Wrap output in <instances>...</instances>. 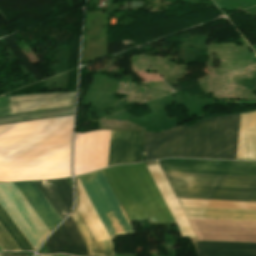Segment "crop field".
<instances>
[{
    "label": "crop field",
    "instance_id": "crop-field-11",
    "mask_svg": "<svg viewBox=\"0 0 256 256\" xmlns=\"http://www.w3.org/2000/svg\"><path fill=\"white\" fill-rule=\"evenodd\" d=\"M45 244L51 253L60 251L87 256L85 244L70 217L50 236Z\"/></svg>",
    "mask_w": 256,
    "mask_h": 256
},
{
    "label": "crop field",
    "instance_id": "crop-field-16",
    "mask_svg": "<svg viewBox=\"0 0 256 256\" xmlns=\"http://www.w3.org/2000/svg\"><path fill=\"white\" fill-rule=\"evenodd\" d=\"M253 112L256 111L242 113L241 115ZM236 157L256 158V113L241 116Z\"/></svg>",
    "mask_w": 256,
    "mask_h": 256
},
{
    "label": "crop field",
    "instance_id": "crop-field-21",
    "mask_svg": "<svg viewBox=\"0 0 256 256\" xmlns=\"http://www.w3.org/2000/svg\"><path fill=\"white\" fill-rule=\"evenodd\" d=\"M0 247L3 251H20L10 236L6 233L3 227L0 225Z\"/></svg>",
    "mask_w": 256,
    "mask_h": 256
},
{
    "label": "crop field",
    "instance_id": "crop-field-13",
    "mask_svg": "<svg viewBox=\"0 0 256 256\" xmlns=\"http://www.w3.org/2000/svg\"><path fill=\"white\" fill-rule=\"evenodd\" d=\"M61 220L72 207V188L65 179L34 182Z\"/></svg>",
    "mask_w": 256,
    "mask_h": 256
},
{
    "label": "crop field",
    "instance_id": "crop-field-9",
    "mask_svg": "<svg viewBox=\"0 0 256 256\" xmlns=\"http://www.w3.org/2000/svg\"><path fill=\"white\" fill-rule=\"evenodd\" d=\"M75 92L9 97L11 115L74 106Z\"/></svg>",
    "mask_w": 256,
    "mask_h": 256
},
{
    "label": "crop field",
    "instance_id": "crop-field-2",
    "mask_svg": "<svg viewBox=\"0 0 256 256\" xmlns=\"http://www.w3.org/2000/svg\"><path fill=\"white\" fill-rule=\"evenodd\" d=\"M238 115L202 119L197 124L175 127L159 134L145 132L146 161L168 158L235 159Z\"/></svg>",
    "mask_w": 256,
    "mask_h": 256
},
{
    "label": "crop field",
    "instance_id": "crop-field-12",
    "mask_svg": "<svg viewBox=\"0 0 256 256\" xmlns=\"http://www.w3.org/2000/svg\"><path fill=\"white\" fill-rule=\"evenodd\" d=\"M148 164L149 165H155ZM154 182L156 183L165 203L167 204L181 235H194L184 213L182 212L171 188L169 187L159 165L147 167ZM181 237H196V236H181Z\"/></svg>",
    "mask_w": 256,
    "mask_h": 256
},
{
    "label": "crop field",
    "instance_id": "crop-field-1",
    "mask_svg": "<svg viewBox=\"0 0 256 256\" xmlns=\"http://www.w3.org/2000/svg\"><path fill=\"white\" fill-rule=\"evenodd\" d=\"M73 116L0 126V182L70 176Z\"/></svg>",
    "mask_w": 256,
    "mask_h": 256
},
{
    "label": "crop field",
    "instance_id": "crop-field-6",
    "mask_svg": "<svg viewBox=\"0 0 256 256\" xmlns=\"http://www.w3.org/2000/svg\"><path fill=\"white\" fill-rule=\"evenodd\" d=\"M78 177L74 178L75 182V190H76V203L74 210L72 212V217L80 230L88 248V254L89 256H114L112 243L104 228L102 225L95 209L93 208L87 194L85 193L79 179L78 181V188H79V203H78V188H77V179ZM78 203V212L82 216L93 240L95 243L97 242H103V241H109V242H103V243H97L94 244L79 213L76 210Z\"/></svg>",
    "mask_w": 256,
    "mask_h": 256
},
{
    "label": "crop field",
    "instance_id": "crop-field-8",
    "mask_svg": "<svg viewBox=\"0 0 256 256\" xmlns=\"http://www.w3.org/2000/svg\"><path fill=\"white\" fill-rule=\"evenodd\" d=\"M158 162L163 172L256 176V162L183 159H166Z\"/></svg>",
    "mask_w": 256,
    "mask_h": 256
},
{
    "label": "crop field",
    "instance_id": "crop-field-18",
    "mask_svg": "<svg viewBox=\"0 0 256 256\" xmlns=\"http://www.w3.org/2000/svg\"><path fill=\"white\" fill-rule=\"evenodd\" d=\"M181 206L192 207H213V208H234V209H256V202H238V201H214V200H189L178 199Z\"/></svg>",
    "mask_w": 256,
    "mask_h": 256
},
{
    "label": "crop field",
    "instance_id": "crop-field-22",
    "mask_svg": "<svg viewBox=\"0 0 256 256\" xmlns=\"http://www.w3.org/2000/svg\"><path fill=\"white\" fill-rule=\"evenodd\" d=\"M0 256H26V254H17V255H10L7 253L0 254Z\"/></svg>",
    "mask_w": 256,
    "mask_h": 256
},
{
    "label": "crop field",
    "instance_id": "crop-field-15",
    "mask_svg": "<svg viewBox=\"0 0 256 256\" xmlns=\"http://www.w3.org/2000/svg\"><path fill=\"white\" fill-rule=\"evenodd\" d=\"M197 256H256L254 250L225 251L231 249H256V243L191 241Z\"/></svg>",
    "mask_w": 256,
    "mask_h": 256
},
{
    "label": "crop field",
    "instance_id": "crop-field-7",
    "mask_svg": "<svg viewBox=\"0 0 256 256\" xmlns=\"http://www.w3.org/2000/svg\"><path fill=\"white\" fill-rule=\"evenodd\" d=\"M110 131L76 133L74 176L106 167Z\"/></svg>",
    "mask_w": 256,
    "mask_h": 256
},
{
    "label": "crop field",
    "instance_id": "crop-field-24",
    "mask_svg": "<svg viewBox=\"0 0 256 256\" xmlns=\"http://www.w3.org/2000/svg\"><path fill=\"white\" fill-rule=\"evenodd\" d=\"M2 250H1V248H0V252H1Z\"/></svg>",
    "mask_w": 256,
    "mask_h": 256
},
{
    "label": "crop field",
    "instance_id": "crop-field-5",
    "mask_svg": "<svg viewBox=\"0 0 256 256\" xmlns=\"http://www.w3.org/2000/svg\"><path fill=\"white\" fill-rule=\"evenodd\" d=\"M79 179L111 240L118 235L134 232L103 171L86 174Z\"/></svg>",
    "mask_w": 256,
    "mask_h": 256
},
{
    "label": "crop field",
    "instance_id": "crop-field-20",
    "mask_svg": "<svg viewBox=\"0 0 256 256\" xmlns=\"http://www.w3.org/2000/svg\"><path fill=\"white\" fill-rule=\"evenodd\" d=\"M0 223L7 231V233L11 236L17 246L20 248L21 251H33L5 212L0 207Z\"/></svg>",
    "mask_w": 256,
    "mask_h": 256
},
{
    "label": "crop field",
    "instance_id": "crop-field-25",
    "mask_svg": "<svg viewBox=\"0 0 256 256\" xmlns=\"http://www.w3.org/2000/svg\"><path fill=\"white\" fill-rule=\"evenodd\" d=\"M63 256H68V255H63Z\"/></svg>",
    "mask_w": 256,
    "mask_h": 256
},
{
    "label": "crop field",
    "instance_id": "crop-field-3",
    "mask_svg": "<svg viewBox=\"0 0 256 256\" xmlns=\"http://www.w3.org/2000/svg\"><path fill=\"white\" fill-rule=\"evenodd\" d=\"M130 222H174L145 164L105 170Z\"/></svg>",
    "mask_w": 256,
    "mask_h": 256
},
{
    "label": "crop field",
    "instance_id": "crop-field-4",
    "mask_svg": "<svg viewBox=\"0 0 256 256\" xmlns=\"http://www.w3.org/2000/svg\"><path fill=\"white\" fill-rule=\"evenodd\" d=\"M177 198L256 201V177L164 173Z\"/></svg>",
    "mask_w": 256,
    "mask_h": 256
},
{
    "label": "crop field",
    "instance_id": "crop-field-17",
    "mask_svg": "<svg viewBox=\"0 0 256 256\" xmlns=\"http://www.w3.org/2000/svg\"><path fill=\"white\" fill-rule=\"evenodd\" d=\"M183 210L187 218L256 221V210L200 209V208H183Z\"/></svg>",
    "mask_w": 256,
    "mask_h": 256
},
{
    "label": "crop field",
    "instance_id": "crop-field-19",
    "mask_svg": "<svg viewBox=\"0 0 256 256\" xmlns=\"http://www.w3.org/2000/svg\"><path fill=\"white\" fill-rule=\"evenodd\" d=\"M73 111H74V108H66V109L50 110V111L24 114V115L0 117V125L30 121V120H36V119H43V118L69 116V115H73Z\"/></svg>",
    "mask_w": 256,
    "mask_h": 256
},
{
    "label": "crop field",
    "instance_id": "crop-field-14",
    "mask_svg": "<svg viewBox=\"0 0 256 256\" xmlns=\"http://www.w3.org/2000/svg\"><path fill=\"white\" fill-rule=\"evenodd\" d=\"M14 185L50 232L61 220L33 182H19Z\"/></svg>",
    "mask_w": 256,
    "mask_h": 256
},
{
    "label": "crop field",
    "instance_id": "crop-field-23",
    "mask_svg": "<svg viewBox=\"0 0 256 256\" xmlns=\"http://www.w3.org/2000/svg\"><path fill=\"white\" fill-rule=\"evenodd\" d=\"M54 256H62V255H54Z\"/></svg>",
    "mask_w": 256,
    "mask_h": 256
},
{
    "label": "crop field",
    "instance_id": "crop-field-10",
    "mask_svg": "<svg viewBox=\"0 0 256 256\" xmlns=\"http://www.w3.org/2000/svg\"><path fill=\"white\" fill-rule=\"evenodd\" d=\"M143 132L111 131L107 167L140 162Z\"/></svg>",
    "mask_w": 256,
    "mask_h": 256
}]
</instances>
